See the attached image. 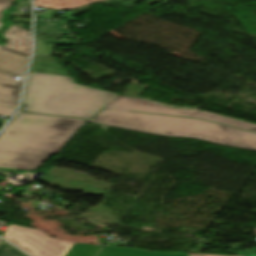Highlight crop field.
Returning <instances> with one entry per match:
<instances>
[{"mask_svg": "<svg viewBox=\"0 0 256 256\" xmlns=\"http://www.w3.org/2000/svg\"><path fill=\"white\" fill-rule=\"evenodd\" d=\"M92 121L134 131L198 138L218 145L256 150V133L204 120L105 109Z\"/></svg>", "mask_w": 256, "mask_h": 256, "instance_id": "obj_2", "label": "crop field"}, {"mask_svg": "<svg viewBox=\"0 0 256 256\" xmlns=\"http://www.w3.org/2000/svg\"><path fill=\"white\" fill-rule=\"evenodd\" d=\"M0 241H1V239H0Z\"/></svg>", "mask_w": 256, "mask_h": 256, "instance_id": "obj_20", "label": "crop field"}, {"mask_svg": "<svg viewBox=\"0 0 256 256\" xmlns=\"http://www.w3.org/2000/svg\"><path fill=\"white\" fill-rule=\"evenodd\" d=\"M13 5L9 0H0V18L2 17V11ZM0 25H2L0 23ZM1 27V26H0Z\"/></svg>", "mask_w": 256, "mask_h": 256, "instance_id": "obj_16", "label": "crop field"}, {"mask_svg": "<svg viewBox=\"0 0 256 256\" xmlns=\"http://www.w3.org/2000/svg\"><path fill=\"white\" fill-rule=\"evenodd\" d=\"M105 108L185 116V117H193V118H203V119L211 120L214 122L256 132V124H252V123H248V122H244V121H240V120H236V119H232V118H228L220 115H215V114H211L203 111H189V110L170 108V107L150 103L143 99L118 96Z\"/></svg>", "mask_w": 256, "mask_h": 256, "instance_id": "obj_5", "label": "crop field"}, {"mask_svg": "<svg viewBox=\"0 0 256 256\" xmlns=\"http://www.w3.org/2000/svg\"><path fill=\"white\" fill-rule=\"evenodd\" d=\"M14 78L15 75L0 72V105L16 108L24 78Z\"/></svg>", "mask_w": 256, "mask_h": 256, "instance_id": "obj_7", "label": "crop field"}, {"mask_svg": "<svg viewBox=\"0 0 256 256\" xmlns=\"http://www.w3.org/2000/svg\"><path fill=\"white\" fill-rule=\"evenodd\" d=\"M3 124V122H0V126Z\"/></svg>", "mask_w": 256, "mask_h": 256, "instance_id": "obj_19", "label": "crop field"}, {"mask_svg": "<svg viewBox=\"0 0 256 256\" xmlns=\"http://www.w3.org/2000/svg\"><path fill=\"white\" fill-rule=\"evenodd\" d=\"M37 40V47L35 54L50 55L53 53L56 45L43 44L39 36H35Z\"/></svg>", "mask_w": 256, "mask_h": 256, "instance_id": "obj_14", "label": "crop field"}, {"mask_svg": "<svg viewBox=\"0 0 256 256\" xmlns=\"http://www.w3.org/2000/svg\"><path fill=\"white\" fill-rule=\"evenodd\" d=\"M85 122L21 114L0 135V168L34 170L58 154Z\"/></svg>", "mask_w": 256, "mask_h": 256, "instance_id": "obj_1", "label": "crop field"}, {"mask_svg": "<svg viewBox=\"0 0 256 256\" xmlns=\"http://www.w3.org/2000/svg\"><path fill=\"white\" fill-rule=\"evenodd\" d=\"M28 58L0 50V70L25 75Z\"/></svg>", "mask_w": 256, "mask_h": 256, "instance_id": "obj_8", "label": "crop field"}, {"mask_svg": "<svg viewBox=\"0 0 256 256\" xmlns=\"http://www.w3.org/2000/svg\"><path fill=\"white\" fill-rule=\"evenodd\" d=\"M5 242H0V256H26L16 248Z\"/></svg>", "mask_w": 256, "mask_h": 256, "instance_id": "obj_13", "label": "crop field"}, {"mask_svg": "<svg viewBox=\"0 0 256 256\" xmlns=\"http://www.w3.org/2000/svg\"><path fill=\"white\" fill-rule=\"evenodd\" d=\"M235 254H243V255H247V256H256L255 253H249V252H232Z\"/></svg>", "mask_w": 256, "mask_h": 256, "instance_id": "obj_17", "label": "crop field"}, {"mask_svg": "<svg viewBox=\"0 0 256 256\" xmlns=\"http://www.w3.org/2000/svg\"><path fill=\"white\" fill-rule=\"evenodd\" d=\"M15 110L16 109H14V108L0 106V115L11 117L14 114Z\"/></svg>", "mask_w": 256, "mask_h": 256, "instance_id": "obj_15", "label": "crop field"}, {"mask_svg": "<svg viewBox=\"0 0 256 256\" xmlns=\"http://www.w3.org/2000/svg\"><path fill=\"white\" fill-rule=\"evenodd\" d=\"M33 256H64L73 242L53 239L31 228L9 225L4 237Z\"/></svg>", "mask_w": 256, "mask_h": 256, "instance_id": "obj_4", "label": "crop field"}, {"mask_svg": "<svg viewBox=\"0 0 256 256\" xmlns=\"http://www.w3.org/2000/svg\"><path fill=\"white\" fill-rule=\"evenodd\" d=\"M34 72H43V73H51V74H59V75H67L69 76L61 65L49 64L43 62H32L31 70Z\"/></svg>", "mask_w": 256, "mask_h": 256, "instance_id": "obj_11", "label": "crop field"}, {"mask_svg": "<svg viewBox=\"0 0 256 256\" xmlns=\"http://www.w3.org/2000/svg\"><path fill=\"white\" fill-rule=\"evenodd\" d=\"M4 37L8 38L9 41L5 46H0V49L30 57L32 49L30 32L14 24L5 32Z\"/></svg>", "mask_w": 256, "mask_h": 256, "instance_id": "obj_6", "label": "crop field"}, {"mask_svg": "<svg viewBox=\"0 0 256 256\" xmlns=\"http://www.w3.org/2000/svg\"><path fill=\"white\" fill-rule=\"evenodd\" d=\"M99 247L87 245V244H74L73 247L65 256H94Z\"/></svg>", "mask_w": 256, "mask_h": 256, "instance_id": "obj_12", "label": "crop field"}, {"mask_svg": "<svg viewBox=\"0 0 256 256\" xmlns=\"http://www.w3.org/2000/svg\"><path fill=\"white\" fill-rule=\"evenodd\" d=\"M99 0H35L36 6L46 9H71Z\"/></svg>", "mask_w": 256, "mask_h": 256, "instance_id": "obj_10", "label": "crop field"}, {"mask_svg": "<svg viewBox=\"0 0 256 256\" xmlns=\"http://www.w3.org/2000/svg\"><path fill=\"white\" fill-rule=\"evenodd\" d=\"M97 256H188V254L154 253L145 250L105 247Z\"/></svg>", "mask_w": 256, "mask_h": 256, "instance_id": "obj_9", "label": "crop field"}, {"mask_svg": "<svg viewBox=\"0 0 256 256\" xmlns=\"http://www.w3.org/2000/svg\"><path fill=\"white\" fill-rule=\"evenodd\" d=\"M189 256H214V255H197V254H189Z\"/></svg>", "mask_w": 256, "mask_h": 256, "instance_id": "obj_18", "label": "crop field"}, {"mask_svg": "<svg viewBox=\"0 0 256 256\" xmlns=\"http://www.w3.org/2000/svg\"><path fill=\"white\" fill-rule=\"evenodd\" d=\"M117 96L71 77L30 72L22 104L33 113L90 119Z\"/></svg>", "mask_w": 256, "mask_h": 256, "instance_id": "obj_3", "label": "crop field"}]
</instances>
